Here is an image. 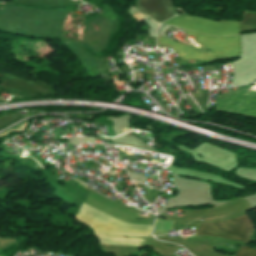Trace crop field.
Returning a JSON list of instances; mask_svg holds the SVG:
<instances>
[{"instance_id":"dd49c442","label":"crop field","mask_w":256,"mask_h":256,"mask_svg":"<svg viewBox=\"0 0 256 256\" xmlns=\"http://www.w3.org/2000/svg\"><path fill=\"white\" fill-rule=\"evenodd\" d=\"M236 256H256V248L241 246Z\"/></svg>"},{"instance_id":"ac0d7876","label":"crop field","mask_w":256,"mask_h":256,"mask_svg":"<svg viewBox=\"0 0 256 256\" xmlns=\"http://www.w3.org/2000/svg\"><path fill=\"white\" fill-rule=\"evenodd\" d=\"M185 33L196 37L194 41L201 44L204 48H206L214 53H217L221 56H224L226 58H233V57H238L241 55V37H240V35L232 36V37L216 38V37L202 36L203 34L199 35L194 32L187 31V30H185ZM159 43L169 45L182 60L224 59V57H221L212 52L201 54L195 50H192L188 47H185L181 44H178V43L171 41L167 38H164L160 35H159Z\"/></svg>"},{"instance_id":"8a807250","label":"crop field","mask_w":256,"mask_h":256,"mask_svg":"<svg viewBox=\"0 0 256 256\" xmlns=\"http://www.w3.org/2000/svg\"><path fill=\"white\" fill-rule=\"evenodd\" d=\"M91 226L95 235L100 236H150L152 225H135L121 222L105 213L83 204L74 217ZM101 243L140 246L145 239L100 237Z\"/></svg>"},{"instance_id":"412701ff","label":"crop field","mask_w":256,"mask_h":256,"mask_svg":"<svg viewBox=\"0 0 256 256\" xmlns=\"http://www.w3.org/2000/svg\"><path fill=\"white\" fill-rule=\"evenodd\" d=\"M254 224L246 215L225 222L201 224L197 234L248 242Z\"/></svg>"},{"instance_id":"f4fd0767","label":"crop field","mask_w":256,"mask_h":256,"mask_svg":"<svg viewBox=\"0 0 256 256\" xmlns=\"http://www.w3.org/2000/svg\"><path fill=\"white\" fill-rule=\"evenodd\" d=\"M28 123V119L25 120V121H22L20 123H18L17 125L3 131L2 133H0V138L3 137V136H6L8 135L11 131H15V130H24L26 125Z\"/></svg>"},{"instance_id":"e52e79f7","label":"crop field","mask_w":256,"mask_h":256,"mask_svg":"<svg viewBox=\"0 0 256 256\" xmlns=\"http://www.w3.org/2000/svg\"><path fill=\"white\" fill-rule=\"evenodd\" d=\"M242 24H256V15H245Z\"/></svg>"},{"instance_id":"34b2d1b8","label":"crop field","mask_w":256,"mask_h":256,"mask_svg":"<svg viewBox=\"0 0 256 256\" xmlns=\"http://www.w3.org/2000/svg\"><path fill=\"white\" fill-rule=\"evenodd\" d=\"M162 24L182 27L211 36L240 34L237 20L212 21L203 17L182 16L180 18L174 17Z\"/></svg>"}]
</instances>
